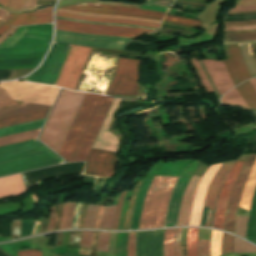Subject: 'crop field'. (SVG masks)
<instances>
[{
    "label": "crop field",
    "mask_w": 256,
    "mask_h": 256,
    "mask_svg": "<svg viewBox=\"0 0 256 256\" xmlns=\"http://www.w3.org/2000/svg\"><path fill=\"white\" fill-rule=\"evenodd\" d=\"M3 21L0 20V26L2 25Z\"/></svg>",
    "instance_id": "obj_75"
},
{
    "label": "crop field",
    "mask_w": 256,
    "mask_h": 256,
    "mask_svg": "<svg viewBox=\"0 0 256 256\" xmlns=\"http://www.w3.org/2000/svg\"><path fill=\"white\" fill-rule=\"evenodd\" d=\"M228 18H231V17H228ZM244 18V17H243Z\"/></svg>",
    "instance_id": "obj_76"
},
{
    "label": "crop field",
    "mask_w": 256,
    "mask_h": 256,
    "mask_svg": "<svg viewBox=\"0 0 256 256\" xmlns=\"http://www.w3.org/2000/svg\"><path fill=\"white\" fill-rule=\"evenodd\" d=\"M99 206L100 205H88L87 215L83 227L94 228Z\"/></svg>",
    "instance_id": "obj_39"
},
{
    "label": "crop field",
    "mask_w": 256,
    "mask_h": 256,
    "mask_svg": "<svg viewBox=\"0 0 256 256\" xmlns=\"http://www.w3.org/2000/svg\"><path fill=\"white\" fill-rule=\"evenodd\" d=\"M236 88L248 104L251 111L256 112V92L249 81L242 83Z\"/></svg>",
    "instance_id": "obj_29"
},
{
    "label": "crop field",
    "mask_w": 256,
    "mask_h": 256,
    "mask_svg": "<svg viewBox=\"0 0 256 256\" xmlns=\"http://www.w3.org/2000/svg\"><path fill=\"white\" fill-rule=\"evenodd\" d=\"M194 68L196 69L199 77H200V80L203 84V86L205 87V89L207 90V92H211V91H214L213 88L211 87L207 77L205 76L197 58H193V59H190Z\"/></svg>",
    "instance_id": "obj_40"
},
{
    "label": "crop field",
    "mask_w": 256,
    "mask_h": 256,
    "mask_svg": "<svg viewBox=\"0 0 256 256\" xmlns=\"http://www.w3.org/2000/svg\"><path fill=\"white\" fill-rule=\"evenodd\" d=\"M86 93L62 90L45 130L40 138L59 153L63 140L71 126Z\"/></svg>",
    "instance_id": "obj_3"
},
{
    "label": "crop field",
    "mask_w": 256,
    "mask_h": 256,
    "mask_svg": "<svg viewBox=\"0 0 256 256\" xmlns=\"http://www.w3.org/2000/svg\"><path fill=\"white\" fill-rule=\"evenodd\" d=\"M62 162V158L39 141L0 148V175Z\"/></svg>",
    "instance_id": "obj_2"
},
{
    "label": "crop field",
    "mask_w": 256,
    "mask_h": 256,
    "mask_svg": "<svg viewBox=\"0 0 256 256\" xmlns=\"http://www.w3.org/2000/svg\"><path fill=\"white\" fill-rule=\"evenodd\" d=\"M120 99H114L110 110L106 116V119L101 127V130L97 136V139L93 145L92 148L95 149H101V150H108V151H114L117 152L118 148H119V140L117 139L116 136L112 135L111 133H109L107 131L109 125H110V121H111V117L119 103Z\"/></svg>",
    "instance_id": "obj_17"
},
{
    "label": "crop field",
    "mask_w": 256,
    "mask_h": 256,
    "mask_svg": "<svg viewBox=\"0 0 256 256\" xmlns=\"http://www.w3.org/2000/svg\"><path fill=\"white\" fill-rule=\"evenodd\" d=\"M140 61L120 58L115 78L107 95H138V68Z\"/></svg>",
    "instance_id": "obj_8"
},
{
    "label": "crop field",
    "mask_w": 256,
    "mask_h": 256,
    "mask_svg": "<svg viewBox=\"0 0 256 256\" xmlns=\"http://www.w3.org/2000/svg\"><path fill=\"white\" fill-rule=\"evenodd\" d=\"M187 182H188V179L181 176L174 189V192L170 200L168 212H167V217L165 222L166 227L175 226L181 199H182L183 192Z\"/></svg>",
    "instance_id": "obj_20"
},
{
    "label": "crop field",
    "mask_w": 256,
    "mask_h": 256,
    "mask_svg": "<svg viewBox=\"0 0 256 256\" xmlns=\"http://www.w3.org/2000/svg\"><path fill=\"white\" fill-rule=\"evenodd\" d=\"M56 25L85 28L90 30L125 32V33H133V34H147L154 31V30L127 28V27L101 26V25H93V24H86V23H79V22L63 21V20H57V19H56Z\"/></svg>",
    "instance_id": "obj_21"
},
{
    "label": "crop field",
    "mask_w": 256,
    "mask_h": 256,
    "mask_svg": "<svg viewBox=\"0 0 256 256\" xmlns=\"http://www.w3.org/2000/svg\"><path fill=\"white\" fill-rule=\"evenodd\" d=\"M236 4H256V0H238Z\"/></svg>",
    "instance_id": "obj_70"
},
{
    "label": "crop field",
    "mask_w": 256,
    "mask_h": 256,
    "mask_svg": "<svg viewBox=\"0 0 256 256\" xmlns=\"http://www.w3.org/2000/svg\"><path fill=\"white\" fill-rule=\"evenodd\" d=\"M91 48L72 45L56 85L75 89Z\"/></svg>",
    "instance_id": "obj_9"
},
{
    "label": "crop field",
    "mask_w": 256,
    "mask_h": 256,
    "mask_svg": "<svg viewBox=\"0 0 256 256\" xmlns=\"http://www.w3.org/2000/svg\"><path fill=\"white\" fill-rule=\"evenodd\" d=\"M63 8H64V9H72V10L85 11V12H93V13H105V14L130 15V14L108 13V12H100V11H87V10L74 9V8H67V7H63ZM130 16H139V15H130ZM140 17H146V18H152V19H158V20H161L160 18H154V17H147V16H140Z\"/></svg>",
    "instance_id": "obj_60"
},
{
    "label": "crop field",
    "mask_w": 256,
    "mask_h": 256,
    "mask_svg": "<svg viewBox=\"0 0 256 256\" xmlns=\"http://www.w3.org/2000/svg\"><path fill=\"white\" fill-rule=\"evenodd\" d=\"M225 24H232V23H240V24H232V25H225V26H244V25H254L256 21L252 22H224Z\"/></svg>",
    "instance_id": "obj_65"
},
{
    "label": "crop field",
    "mask_w": 256,
    "mask_h": 256,
    "mask_svg": "<svg viewBox=\"0 0 256 256\" xmlns=\"http://www.w3.org/2000/svg\"><path fill=\"white\" fill-rule=\"evenodd\" d=\"M256 188V160L245 185L244 191L240 200V208L250 209L252 197Z\"/></svg>",
    "instance_id": "obj_25"
},
{
    "label": "crop field",
    "mask_w": 256,
    "mask_h": 256,
    "mask_svg": "<svg viewBox=\"0 0 256 256\" xmlns=\"http://www.w3.org/2000/svg\"><path fill=\"white\" fill-rule=\"evenodd\" d=\"M166 19H172V20H177V21H183V22H189V23H197V24H201L200 21L197 20H192V19H186V18H181V17H175V16H169L166 15L165 16Z\"/></svg>",
    "instance_id": "obj_59"
},
{
    "label": "crop field",
    "mask_w": 256,
    "mask_h": 256,
    "mask_svg": "<svg viewBox=\"0 0 256 256\" xmlns=\"http://www.w3.org/2000/svg\"><path fill=\"white\" fill-rule=\"evenodd\" d=\"M176 229L165 230L164 256H174V235Z\"/></svg>",
    "instance_id": "obj_36"
},
{
    "label": "crop field",
    "mask_w": 256,
    "mask_h": 256,
    "mask_svg": "<svg viewBox=\"0 0 256 256\" xmlns=\"http://www.w3.org/2000/svg\"><path fill=\"white\" fill-rule=\"evenodd\" d=\"M75 205H76V203H71V205H70V210H69V215H68V220H67L66 229L71 228L72 219H73V214H74V210H75Z\"/></svg>",
    "instance_id": "obj_57"
},
{
    "label": "crop field",
    "mask_w": 256,
    "mask_h": 256,
    "mask_svg": "<svg viewBox=\"0 0 256 256\" xmlns=\"http://www.w3.org/2000/svg\"><path fill=\"white\" fill-rule=\"evenodd\" d=\"M25 0H11L8 8L12 10H21L24 5Z\"/></svg>",
    "instance_id": "obj_54"
},
{
    "label": "crop field",
    "mask_w": 256,
    "mask_h": 256,
    "mask_svg": "<svg viewBox=\"0 0 256 256\" xmlns=\"http://www.w3.org/2000/svg\"><path fill=\"white\" fill-rule=\"evenodd\" d=\"M93 232H82L80 248H90Z\"/></svg>",
    "instance_id": "obj_46"
},
{
    "label": "crop field",
    "mask_w": 256,
    "mask_h": 256,
    "mask_svg": "<svg viewBox=\"0 0 256 256\" xmlns=\"http://www.w3.org/2000/svg\"><path fill=\"white\" fill-rule=\"evenodd\" d=\"M52 22V6L30 13L9 14L3 25H23Z\"/></svg>",
    "instance_id": "obj_18"
},
{
    "label": "crop field",
    "mask_w": 256,
    "mask_h": 256,
    "mask_svg": "<svg viewBox=\"0 0 256 256\" xmlns=\"http://www.w3.org/2000/svg\"><path fill=\"white\" fill-rule=\"evenodd\" d=\"M35 3H36V0H27L22 11L33 9Z\"/></svg>",
    "instance_id": "obj_66"
},
{
    "label": "crop field",
    "mask_w": 256,
    "mask_h": 256,
    "mask_svg": "<svg viewBox=\"0 0 256 256\" xmlns=\"http://www.w3.org/2000/svg\"><path fill=\"white\" fill-rule=\"evenodd\" d=\"M256 10V5H236L235 9H231L230 12H242Z\"/></svg>",
    "instance_id": "obj_53"
},
{
    "label": "crop field",
    "mask_w": 256,
    "mask_h": 256,
    "mask_svg": "<svg viewBox=\"0 0 256 256\" xmlns=\"http://www.w3.org/2000/svg\"><path fill=\"white\" fill-rule=\"evenodd\" d=\"M198 256H210L209 255V241L199 240Z\"/></svg>",
    "instance_id": "obj_48"
},
{
    "label": "crop field",
    "mask_w": 256,
    "mask_h": 256,
    "mask_svg": "<svg viewBox=\"0 0 256 256\" xmlns=\"http://www.w3.org/2000/svg\"><path fill=\"white\" fill-rule=\"evenodd\" d=\"M226 41H253L256 40V32L224 35Z\"/></svg>",
    "instance_id": "obj_42"
},
{
    "label": "crop field",
    "mask_w": 256,
    "mask_h": 256,
    "mask_svg": "<svg viewBox=\"0 0 256 256\" xmlns=\"http://www.w3.org/2000/svg\"><path fill=\"white\" fill-rule=\"evenodd\" d=\"M125 193H126V191L122 192L120 199L118 201L117 208H116V214H115V220H114L112 229H117V227H118V221H119L120 213L122 210L123 198H124Z\"/></svg>",
    "instance_id": "obj_49"
},
{
    "label": "crop field",
    "mask_w": 256,
    "mask_h": 256,
    "mask_svg": "<svg viewBox=\"0 0 256 256\" xmlns=\"http://www.w3.org/2000/svg\"><path fill=\"white\" fill-rule=\"evenodd\" d=\"M247 239L256 243V191L249 214Z\"/></svg>",
    "instance_id": "obj_32"
},
{
    "label": "crop field",
    "mask_w": 256,
    "mask_h": 256,
    "mask_svg": "<svg viewBox=\"0 0 256 256\" xmlns=\"http://www.w3.org/2000/svg\"><path fill=\"white\" fill-rule=\"evenodd\" d=\"M56 29L65 30V31H71V32L92 33V34L110 35V36H125V37H132V38H137V37L141 36V35H132V34H124V33L102 32V31H87V30L74 29V28H68V27H60V26H56Z\"/></svg>",
    "instance_id": "obj_37"
},
{
    "label": "crop field",
    "mask_w": 256,
    "mask_h": 256,
    "mask_svg": "<svg viewBox=\"0 0 256 256\" xmlns=\"http://www.w3.org/2000/svg\"><path fill=\"white\" fill-rule=\"evenodd\" d=\"M221 96L235 87L223 61L202 60Z\"/></svg>",
    "instance_id": "obj_16"
},
{
    "label": "crop field",
    "mask_w": 256,
    "mask_h": 256,
    "mask_svg": "<svg viewBox=\"0 0 256 256\" xmlns=\"http://www.w3.org/2000/svg\"><path fill=\"white\" fill-rule=\"evenodd\" d=\"M14 100L51 105L59 88L26 82L0 83Z\"/></svg>",
    "instance_id": "obj_5"
},
{
    "label": "crop field",
    "mask_w": 256,
    "mask_h": 256,
    "mask_svg": "<svg viewBox=\"0 0 256 256\" xmlns=\"http://www.w3.org/2000/svg\"><path fill=\"white\" fill-rule=\"evenodd\" d=\"M235 161L225 162L220 168L213 181L211 182L204 202V209L202 218L206 219L205 224L209 225L210 219H213L214 209L218 197L219 190L221 188L222 182L227 173H229L231 167Z\"/></svg>",
    "instance_id": "obj_12"
},
{
    "label": "crop field",
    "mask_w": 256,
    "mask_h": 256,
    "mask_svg": "<svg viewBox=\"0 0 256 256\" xmlns=\"http://www.w3.org/2000/svg\"><path fill=\"white\" fill-rule=\"evenodd\" d=\"M243 163L244 162H236L234 164L221 188L214 217L213 228L215 229L223 230L229 196Z\"/></svg>",
    "instance_id": "obj_11"
},
{
    "label": "crop field",
    "mask_w": 256,
    "mask_h": 256,
    "mask_svg": "<svg viewBox=\"0 0 256 256\" xmlns=\"http://www.w3.org/2000/svg\"><path fill=\"white\" fill-rule=\"evenodd\" d=\"M182 228L177 229L176 240H175V256H180V238Z\"/></svg>",
    "instance_id": "obj_56"
},
{
    "label": "crop field",
    "mask_w": 256,
    "mask_h": 256,
    "mask_svg": "<svg viewBox=\"0 0 256 256\" xmlns=\"http://www.w3.org/2000/svg\"><path fill=\"white\" fill-rule=\"evenodd\" d=\"M10 26H1L0 27V35L4 33Z\"/></svg>",
    "instance_id": "obj_71"
},
{
    "label": "crop field",
    "mask_w": 256,
    "mask_h": 256,
    "mask_svg": "<svg viewBox=\"0 0 256 256\" xmlns=\"http://www.w3.org/2000/svg\"><path fill=\"white\" fill-rule=\"evenodd\" d=\"M26 191L21 175L0 178V197L18 196Z\"/></svg>",
    "instance_id": "obj_22"
},
{
    "label": "crop field",
    "mask_w": 256,
    "mask_h": 256,
    "mask_svg": "<svg viewBox=\"0 0 256 256\" xmlns=\"http://www.w3.org/2000/svg\"><path fill=\"white\" fill-rule=\"evenodd\" d=\"M34 221L35 220L22 221V233H21V236L32 234Z\"/></svg>",
    "instance_id": "obj_51"
},
{
    "label": "crop field",
    "mask_w": 256,
    "mask_h": 256,
    "mask_svg": "<svg viewBox=\"0 0 256 256\" xmlns=\"http://www.w3.org/2000/svg\"><path fill=\"white\" fill-rule=\"evenodd\" d=\"M221 103L225 105L240 106L250 110L241 95L236 90V88L225 94L224 97L221 99Z\"/></svg>",
    "instance_id": "obj_33"
},
{
    "label": "crop field",
    "mask_w": 256,
    "mask_h": 256,
    "mask_svg": "<svg viewBox=\"0 0 256 256\" xmlns=\"http://www.w3.org/2000/svg\"><path fill=\"white\" fill-rule=\"evenodd\" d=\"M49 107L51 106L27 103L23 105L14 106V107L4 108V109H0V118L22 114L26 112H31L35 110L45 109Z\"/></svg>",
    "instance_id": "obj_26"
},
{
    "label": "crop field",
    "mask_w": 256,
    "mask_h": 256,
    "mask_svg": "<svg viewBox=\"0 0 256 256\" xmlns=\"http://www.w3.org/2000/svg\"><path fill=\"white\" fill-rule=\"evenodd\" d=\"M221 165H222V163L211 166L207 170V172L204 174V176L198 186L196 194L194 196L189 226H199L202 207H203V201H204V197H205L207 188H208L210 182L212 181L216 171L219 169V167Z\"/></svg>",
    "instance_id": "obj_15"
},
{
    "label": "crop field",
    "mask_w": 256,
    "mask_h": 256,
    "mask_svg": "<svg viewBox=\"0 0 256 256\" xmlns=\"http://www.w3.org/2000/svg\"><path fill=\"white\" fill-rule=\"evenodd\" d=\"M114 98L87 93L59 153L68 162L85 160ZM116 154L92 149L84 174L113 175Z\"/></svg>",
    "instance_id": "obj_1"
},
{
    "label": "crop field",
    "mask_w": 256,
    "mask_h": 256,
    "mask_svg": "<svg viewBox=\"0 0 256 256\" xmlns=\"http://www.w3.org/2000/svg\"><path fill=\"white\" fill-rule=\"evenodd\" d=\"M80 205H81V203H77L76 214H75V218H74V222H73L72 228H77V219H78V215H79V211H80Z\"/></svg>",
    "instance_id": "obj_68"
},
{
    "label": "crop field",
    "mask_w": 256,
    "mask_h": 256,
    "mask_svg": "<svg viewBox=\"0 0 256 256\" xmlns=\"http://www.w3.org/2000/svg\"><path fill=\"white\" fill-rule=\"evenodd\" d=\"M13 100L9 94H7L2 88H0V101ZM14 101L0 102V108L15 105Z\"/></svg>",
    "instance_id": "obj_47"
},
{
    "label": "crop field",
    "mask_w": 256,
    "mask_h": 256,
    "mask_svg": "<svg viewBox=\"0 0 256 256\" xmlns=\"http://www.w3.org/2000/svg\"><path fill=\"white\" fill-rule=\"evenodd\" d=\"M140 8L154 10V11H160V12H164V13L167 12L166 8L154 7V6H148V5H141Z\"/></svg>",
    "instance_id": "obj_63"
},
{
    "label": "crop field",
    "mask_w": 256,
    "mask_h": 256,
    "mask_svg": "<svg viewBox=\"0 0 256 256\" xmlns=\"http://www.w3.org/2000/svg\"><path fill=\"white\" fill-rule=\"evenodd\" d=\"M233 252H239V253H256L255 247L236 238L234 240V248Z\"/></svg>",
    "instance_id": "obj_41"
},
{
    "label": "crop field",
    "mask_w": 256,
    "mask_h": 256,
    "mask_svg": "<svg viewBox=\"0 0 256 256\" xmlns=\"http://www.w3.org/2000/svg\"><path fill=\"white\" fill-rule=\"evenodd\" d=\"M49 44L44 45H33V46H22L12 48H1L0 49V67H13V66H27L34 65L40 62L44 56ZM33 66L27 67H13V68H0V69H22L32 68Z\"/></svg>",
    "instance_id": "obj_6"
},
{
    "label": "crop field",
    "mask_w": 256,
    "mask_h": 256,
    "mask_svg": "<svg viewBox=\"0 0 256 256\" xmlns=\"http://www.w3.org/2000/svg\"><path fill=\"white\" fill-rule=\"evenodd\" d=\"M164 20H165V21L176 22V23H181V24H187V25L201 26V25H197V24H189V23L177 22V21L166 20V19H164Z\"/></svg>",
    "instance_id": "obj_73"
},
{
    "label": "crop field",
    "mask_w": 256,
    "mask_h": 256,
    "mask_svg": "<svg viewBox=\"0 0 256 256\" xmlns=\"http://www.w3.org/2000/svg\"><path fill=\"white\" fill-rule=\"evenodd\" d=\"M17 27H10L2 36H0V43L11 35Z\"/></svg>",
    "instance_id": "obj_64"
},
{
    "label": "crop field",
    "mask_w": 256,
    "mask_h": 256,
    "mask_svg": "<svg viewBox=\"0 0 256 256\" xmlns=\"http://www.w3.org/2000/svg\"><path fill=\"white\" fill-rule=\"evenodd\" d=\"M195 178H196V175H193L184 192L177 226H180V225L188 226L189 224L193 196L195 194L197 185L201 179L200 177H197V179L195 180Z\"/></svg>",
    "instance_id": "obj_19"
},
{
    "label": "crop field",
    "mask_w": 256,
    "mask_h": 256,
    "mask_svg": "<svg viewBox=\"0 0 256 256\" xmlns=\"http://www.w3.org/2000/svg\"><path fill=\"white\" fill-rule=\"evenodd\" d=\"M199 229L189 228L187 239V256H197Z\"/></svg>",
    "instance_id": "obj_34"
},
{
    "label": "crop field",
    "mask_w": 256,
    "mask_h": 256,
    "mask_svg": "<svg viewBox=\"0 0 256 256\" xmlns=\"http://www.w3.org/2000/svg\"><path fill=\"white\" fill-rule=\"evenodd\" d=\"M69 205H70V203L64 204L62 220H61V224H60V228L59 229H65L67 215H68V210H69Z\"/></svg>",
    "instance_id": "obj_55"
},
{
    "label": "crop field",
    "mask_w": 256,
    "mask_h": 256,
    "mask_svg": "<svg viewBox=\"0 0 256 256\" xmlns=\"http://www.w3.org/2000/svg\"><path fill=\"white\" fill-rule=\"evenodd\" d=\"M40 130L41 129L2 137V138H0V146L12 144V143H16V142H21V141H26V140H30V139H35L38 137Z\"/></svg>",
    "instance_id": "obj_30"
},
{
    "label": "crop field",
    "mask_w": 256,
    "mask_h": 256,
    "mask_svg": "<svg viewBox=\"0 0 256 256\" xmlns=\"http://www.w3.org/2000/svg\"><path fill=\"white\" fill-rule=\"evenodd\" d=\"M18 256H41V251L29 250L17 252Z\"/></svg>",
    "instance_id": "obj_58"
},
{
    "label": "crop field",
    "mask_w": 256,
    "mask_h": 256,
    "mask_svg": "<svg viewBox=\"0 0 256 256\" xmlns=\"http://www.w3.org/2000/svg\"><path fill=\"white\" fill-rule=\"evenodd\" d=\"M136 234L137 233H129L128 256H135Z\"/></svg>",
    "instance_id": "obj_50"
},
{
    "label": "crop field",
    "mask_w": 256,
    "mask_h": 256,
    "mask_svg": "<svg viewBox=\"0 0 256 256\" xmlns=\"http://www.w3.org/2000/svg\"><path fill=\"white\" fill-rule=\"evenodd\" d=\"M233 240V237L224 234L222 241V255L232 252Z\"/></svg>",
    "instance_id": "obj_44"
},
{
    "label": "crop field",
    "mask_w": 256,
    "mask_h": 256,
    "mask_svg": "<svg viewBox=\"0 0 256 256\" xmlns=\"http://www.w3.org/2000/svg\"><path fill=\"white\" fill-rule=\"evenodd\" d=\"M154 231L138 233L137 256H163L164 230Z\"/></svg>",
    "instance_id": "obj_13"
},
{
    "label": "crop field",
    "mask_w": 256,
    "mask_h": 256,
    "mask_svg": "<svg viewBox=\"0 0 256 256\" xmlns=\"http://www.w3.org/2000/svg\"><path fill=\"white\" fill-rule=\"evenodd\" d=\"M110 232H99L97 250L108 252Z\"/></svg>",
    "instance_id": "obj_43"
},
{
    "label": "crop field",
    "mask_w": 256,
    "mask_h": 256,
    "mask_svg": "<svg viewBox=\"0 0 256 256\" xmlns=\"http://www.w3.org/2000/svg\"><path fill=\"white\" fill-rule=\"evenodd\" d=\"M253 29H256V25H254V26H244V27L224 28V31L253 30Z\"/></svg>",
    "instance_id": "obj_62"
},
{
    "label": "crop field",
    "mask_w": 256,
    "mask_h": 256,
    "mask_svg": "<svg viewBox=\"0 0 256 256\" xmlns=\"http://www.w3.org/2000/svg\"><path fill=\"white\" fill-rule=\"evenodd\" d=\"M57 206L58 205L52 206L50 219H49V227L47 231H50L53 228Z\"/></svg>",
    "instance_id": "obj_61"
},
{
    "label": "crop field",
    "mask_w": 256,
    "mask_h": 256,
    "mask_svg": "<svg viewBox=\"0 0 256 256\" xmlns=\"http://www.w3.org/2000/svg\"><path fill=\"white\" fill-rule=\"evenodd\" d=\"M56 18H57V19H63V20L87 22V21H81V20H75V19H69V18H60V17H56ZM87 23L102 24V25H115V26H127V27H135V28H145V29H154V30H158V29H155V28L137 27V26H130V25H122V24L94 23V22H87Z\"/></svg>",
    "instance_id": "obj_52"
},
{
    "label": "crop field",
    "mask_w": 256,
    "mask_h": 256,
    "mask_svg": "<svg viewBox=\"0 0 256 256\" xmlns=\"http://www.w3.org/2000/svg\"><path fill=\"white\" fill-rule=\"evenodd\" d=\"M223 233L220 231L213 230L210 239V254L211 256L221 255V241Z\"/></svg>",
    "instance_id": "obj_35"
},
{
    "label": "crop field",
    "mask_w": 256,
    "mask_h": 256,
    "mask_svg": "<svg viewBox=\"0 0 256 256\" xmlns=\"http://www.w3.org/2000/svg\"><path fill=\"white\" fill-rule=\"evenodd\" d=\"M8 14H9V11H7V10H5V9L0 7V19L1 20L5 21V19L7 18Z\"/></svg>",
    "instance_id": "obj_69"
},
{
    "label": "crop field",
    "mask_w": 256,
    "mask_h": 256,
    "mask_svg": "<svg viewBox=\"0 0 256 256\" xmlns=\"http://www.w3.org/2000/svg\"><path fill=\"white\" fill-rule=\"evenodd\" d=\"M178 177L155 176L145 199L139 229L163 227Z\"/></svg>",
    "instance_id": "obj_4"
},
{
    "label": "crop field",
    "mask_w": 256,
    "mask_h": 256,
    "mask_svg": "<svg viewBox=\"0 0 256 256\" xmlns=\"http://www.w3.org/2000/svg\"><path fill=\"white\" fill-rule=\"evenodd\" d=\"M56 16L69 17V18L95 21V22H111V23H122V24H130V25H143V26H149V27H155V28L159 27V25H156V24H148V23H140V22H132V21H123V20H109V19L90 18V17H82V16L71 15V14H62V13H56Z\"/></svg>",
    "instance_id": "obj_31"
},
{
    "label": "crop field",
    "mask_w": 256,
    "mask_h": 256,
    "mask_svg": "<svg viewBox=\"0 0 256 256\" xmlns=\"http://www.w3.org/2000/svg\"><path fill=\"white\" fill-rule=\"evenodd\" d=\"M255 158H256V155H249L248 159L246 160L245 164L241 169L239 177L236 181V184L230 196L227 216L225 221V227H224L225 230L235 233V225H236L240 196L243 191L244 185L246 183V180L248 178V175L250 173V170L252 168Z\"/></svg>",
    "instance_id": "obj_10"
},
{
    "label": "crop field",
    "mask_w": 256,
    "mask_h": 256,
    "mask_svg": "<svg viewBox=\"0 0 256 256\" xmlns=\"http://www.w3.org/2000/svg\"><path fill=\"white\" fill-rule=\"evenodd\" d=\"M50 109L51 108L0 119V128L44 119L47 117Z\"/></svg>",
    "instance_id": "obj_24"
},
{
    "label": "crop field",
    "mask_w": 256,
    "mask_h": 256,
    "mask_svg": "<svg viewBox=\"0 0 256 256\" xmlns=\"http://www.w3.org/2000/svg\"><path fill=\"white\" fill-rule=\"evenodd\" d=\"M248 217H238L237 235L244 237L246 235Z\"/></svg>",
    "instance_id": "obj_45"
},
{
    "label": "crop field",
    "mask_w": 256,
    "mask_h": 256,
    "mask_svg": "<svg viewBox=\"0 0 256 256\" xmlns=\"http://www.w3.org/2000/svg\"><path fill=\"white\" fill-rule=\"evenodd\" d=\"M254 89L256 90V78L249 80Z\"/></svg>",
    "instance_id": "obj_74"
},
{
    "label": "crop field",
    "mask_w": 256,
    "mask_h": 256,
    "mask_svg": "<svg viewBox=\"0 0 256 256\" xmlns=\"http://www.w3.org/2000/svg\"><path fill=\"white\" fill-rule=\"evenodd\" d=\"M10 0H0V4L7 7V5L9 4Z\"/></svg>",
    "instance_id": "obj_72"
},
{
    "label": "crop field",
    "mask_w": 256,
    "mask_h": 256,
    "mask_svg": "<svg viewBox=\"0 0 256 256\" xmlns=\"http://www.w3.org/2000/svg\"><path fill=\"white\" fill-rule=\"evenodd\" d=\"M151 182H152V180L145 179V181L140 189L136 207H135V211H134V215H133V219H132L131 229H138L141 209L143 206V202H144V199L146 196L147 189L150 186Z\"/></svg>",
    "instance_id": "obj_28"
},
{
    "label": "crop field",
    "mask_w": 256,
    "mask_h": 256,
    "mask_svg": "<svg viewBox=\"0 0 256 256\" xmlns=\"http://www.w3.org/2000/svg\"><path fill=\"white\" fill-rule=\"evenodd\" d=\"M116 206H108L104 209L103 220L100 228L111 229Z\"/></svg>",
    "instance_id": "obj_38"
},
{
    "label": "crop field",
    "mask_w": 256,
    "mask_h": 256,
    "mask_svg": "<svg viewBox=\"0 0 256 256\" xmlns=\"http://www.w3.org/2000/svg\"><path fill=\"white\" fill-rule=\"evenodd\" d=\"M226 56L228 60H225L224 63L235 83L238 85L244 80L251 78L239 50L238 45H227L224 46Z\"/></svg>",
    "instance_id": "obj_14"
},
{
    "label": "crop field",
    "mask_w": 256,
    "mask_h": 256,
    "mask_svg": "<svg viewBox=\"0 0 256 256\" xmlns=\"http://www.w3.org/2000/svg\"><path fill=\"white\" fill-rule=\"evenodd\" d=\"M57 12L71 13V14H77V15H82V16L99 17V18L133 20V21L156 23V24H160L161 23V21H158V20L145 19V18H139V17L105 15V14H93V13H85V12L72 11V10H64V9H58Z\"/></svg>",
    "instance_id": "obj_27"
},
{
    "label": "crop field",
    "mask_w": 256,
    "mask_h": 256,
    "mask_svg": "<svg viewBox=\"0 0 256 256\" xmlns=\"http://www.w3.org/2000/svg\"><path fill=\"white\" fill-rule=\"evenodd\" d=\"M71 45L55 42L41 67L27 80L55 85Z\"/></svg>",
    "instance_id": "obj_7"
},
{
    "label": "crop field",
    "mask_w": 256,
    "mask_h": 256,
    "mask_svg": "<svg viewBox=\"0 0 256 256\" xmlns=\"http://www.w3.org/2000/svg\"><path fill=\"white\" fill-rule=\"evenodd\" d=\"M103 209H104V205H101L100 209H99L97 223H96V227L95 228H99L100 227L101 220H102Z\"/></svg>",
    "instance_id": "obj_67"
},
{
    "label": "crop field",
    "mask_w": 256,
    "mask_h": 256,
    "mask_svg": "<svg viewBox=\"0 0 256 256\" xmlns=\"http://www.w3.org/2000/svg\"><path fill=\"white\" fill-rule=\"evenodd\" d=\"M68 7L93 9V10H100V11H110V12H120V13H132V14L148 15V16H154V17H160V18H162L165 15L164 13L141 10V9L92 5V4H83V5L68 6Z\"/></svg>",
    "instance_id": "obj_23"
}]
</instances>
